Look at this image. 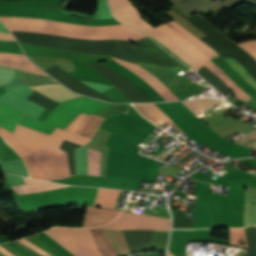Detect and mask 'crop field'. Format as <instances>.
Wrapping results in <instances>:
<instances>
[{
	"label": "crop field",
	"mask_w": 256,
	"mask_h": 256,
	"mask_svg": "<svg viewBox=\"0 0 256 256\" xmlns=\"http://www.w3.org/2000/svg\"><path fill=\"white\" fill-rule=\"evenodd\" d=\"M118 192L117 190L99 189L94 205L112 209Z\"/></svg>",
	"instance_id": "21"
},
{
	"label": "crop field",
	"mask_w": 256,
	"mask_h": 256,
	"mask_svg": "<svg viewBox=\"0 0 256 256\" xmlns=\"http://www.w3.org/2000/svg\"><path fill=\"white\" fill-rule=\"evenodd\" d=\"M158 31L162 32L167 38L181 47L193 58L198 60L203 65L209 60L205 55H203L197 48L191 45L189 42L184 40L180 35H178L172 28L167 24L155 27Z\"/></svg>",
	"instance_id": "11"
},
{
	"label": "crop field",
	"mask_w": 256,
	"mask_h": 256,
	"mask_svg": "<svg viewBox=\"0 0 256 256\" xmlns=\"http://www.w3.org/2000/svg\"><path fill=\"white\" fill-rule=\"evenodd\" d=\"M20 242H22L23 244L27 245L28 247H30L31 249L38 251L46 256H52L51 254L43 251L42 249H40L39 247L35 246L34 244H32L31 242L27 241L25 238L18 240Z\"/></svg>",
	"instance_id": "31"
},
{
	"label": "crop field",
	"mask_w": 256,
	"mask_h": 256,
	"mask_svg": "<svg viewBox=\"0 0 256 256\" xmlns=\"http://www.w3.org/2000/svg\"><path fill=\"white\" fill-rule=\"evenodd\" d=\"M167 24L170 27H172L178 34H180L184 39H186L191 44H193L195 47H197L200 51H202L209 58H212V57L218 55L210 47H208L206 44H204L203 42L198 40L196 37H194L192 34H190L187 30H185L183 27H181L175 21H170Z\"/></svg>",
	"instance_id": "16"
},
{
	"label": "crop field",
	"mask_w": 256,
	"mask_h": 256,
	"mask_svg": "<svg viewBox=\"0 0 256 256\" xmlns=\"http://www.w3.org/2000/svg\"><path fill=\"white\" fill-rule=\"evenodd\" d=\"M0 134L5 139V141L9 145H11L22 157L29 155L35 151H37L39 153H44V154L59 155V153H57L49 148H46V147H44L40 144H37L35 142H32L30 140H26L19 136H16L13 133H11L3 128H0Z\"/></svg>",
	"instance_id": "9"
},
{
	"label": "crop field",
	"mask_w": 256,
	"mask_h": 256,
	"mask_svg": "<svg viewBox=\"0 0 256 256\" xmlns=\"http://www.w3.org/2000/svg\"><path fill=\"white\" fill-rule=\"evenodd\" d=\"M114 61L126 66L128 69H130L132 72L137 74L139 77L144 79L146 82H148L154 89H156L162 96H164L168 101L178 100L171 91L167 89L165 85L160 83L152 74L148 73L147 71L143 70L139 66L135 64H131L128 62H125L120 59L113 58ZM163 97V98H164ZM164 98V99H165Z\"/></svg>",
	"instance_id": "10"
},
{
	"label": "crop field",
	"mask_w": 256,
	"mask_h": 256,
	"mask_svg": "<svg viewBox=\"0 0 256 256\" xmlns=\"http://www.w3.org/2000/svg\"><path fill=\"white\" fill-rule=\"evenodd\" d=\"M55 85V84H53ZM45 86V85H43ZM35 87V86H33ZM49 98L53 100H57L59 102H62L67 99L79 97L80 95H76L68 91L66 88H64L61 85H55V86H45V87H35L32 88ZM24 114L12 109L10 107L4 106L0 104V126L10 130L13 132L14 127L16 123L19 121V119L23 116Z\"/></svg>",
	"instance_id": "7"
},
{
	"label": "crop field",
	"mask_w": 256,
	"mask_h": 256,
	"mask_svg": "<svg viewBox=\"0 0 256 256\" xmlns=\"http://www.w3.org/2000/svg\"><path fill=\"white\" fill-rule=\"evenodd\" d=\"M23 179L26 184L13 187L19 194L42 192V191H48V190L58 189L62 187H67L64 185L40 182V181H35V180H30L25 178Z\"/></svg>",
	"instance_id": "17"
},
{
	"label": "crop field",
	"mask_w": 256,
	"mask_h": 256,
	"mask_svg": "<svg viewBox=\"0 0 256 256\" xmlns=\"http://www.w3.org/2000/svg\"><path fill=\"white\" fill-rule=\"evenodd\" d=\"M108 105L110 104L83 97L61 103L44 123L24 115L18 124L50 135L56 127L63 129L80 112L90 115Z\"/></svg>",
	"instance_id": "2"
},
{
	"label": "crop field",
	"mask_w": 256,
	"mask_h": 256,
	"mask_svg": "<svg viewBox=\"0 0 256 256\" xmlns=\"http://www.w3.org/2000/svg\"><path fill=\"white\" fill-rule=\"evenodd\" d=\"M82 82L85 83L86 85H88L89 87L93 88L94 90H96L99 93L113 87V85L108 86V85H104V84H100V83H93V82H86V81H82Z\"/></svg>",
	"instance_id": "30"
},
{
	"label": "crop field",
	"mask_w": 256,
	"mask_h": 256,
	"mask_svg": "<svg viewBox=\"0 0 256 256\" xmlns=\"http://www.w3.org/2000/svg\"><path fill=\"white\" fill-rule=\"evenodd\" d=\"M0 40H14V38L12 37L11 34L1 33L0 32Z\"/></svg>",
	"instance_id": "33"
},
{
	"label": "crop field",
	"mask_w": 256,
	"mask_h": 256,
	"mask_svg": "<svg viewBox=\"0 0 256 256\" xmlns=\"http://www.w3.org/2000/svg\"><path fill=\"white\" fill-rule=\"evenodd\" d=\"M89 231L91 232L94 238L95 245L97 247L98 252L102 256H118L117 253L112 248V246L110 245V243L105 238V236L102 234L100 229L93 228V229H89Z\"/></svg>",
	"instance_id": "20"
},
{
	"label": "crop field",
	"mask_w": 256,
	"mask_h": 256,
	"mask_svg": "<svg viewBox=\"0 0 256 256\" xmlns=\"http://www.w3.org/2000/svg\"><path fill=\"white\" fill-rule=\"evenodd\" d=\"M28 240L32 241L33 243L37 244L42 249L46 250L47 252L53 254L54 256H61L58 253H56L54 250H52L50 247H48L42 240H40L36 235L26 237Z\"/></svg>",
	"instance_id": "28"
},
{
	"label": "crop field",
	"mask_w": 256,
	"mask_h": 256,
	"mask_svg": "<svg viewBox=\"0 0 256 256\" xmlns=\"http://www.w3.org/2000/svg\"><path fill=\"white\" fill-rule=\"evenodd\" d=\"M8 29L15 32L69 38L119 39L137 41L143 34L123 24L86 26L38 18L0 17Z\"/></svg>",
	"instance_id": "1"
},
{
	"label": "crop field",
	"mask_w": 256,
	"mask_h": 256,
	"mask_svg": "<svg viewBox=\"0 0 256 256\" xmlns=\"http://www.w3.org/2000/svg\"><path fill=\"white\" fill-rule=\"evenodd\" d=\"M256 225V205L251 206V195L245 193L244 226Z\"/></svg>",
	"instance_id": "23"
},
{
	"label": "crop field",
	"mask_w": 256,
	"mask_h": 256,
	"mask_svg": "<svg viewBox=\"0 0 256 256\" xmlns=\"http://www.w3.org/2000/svg\"><path fill=\"white\" fill-rule=\"evenodd\" d=\"M0 251L5 254L6 256H13L12 254H10L8 251H6L2 246H0Z\"/></svg>",
	"instance_id": "34"
},
{
	"label": "crop field",
	"mask_w": 256,
	"mask_h": 256,
	"mask_svg": "<svg viewBox=\"0 0 256 256\" xmlns=\"http://www.w3.org/2000/svg\"><path fill=\"white\" fill-rule=\"evenodd\" d=\"M208 69L220 77L230 90L244 103L252 99L240 87H238L231 79H229L219 68H217L211 61L205 64Z\"/></svg>",
	"instance_id": "19"
},
{
	"label": "crop field",
	"mask_w": 256,
	"mask_h": 256,
	"mask_svg": "<svg viewBox=\"0 0 256 256\" xmlns=\"http://www.w3.org/2000/svg\"><path fill=\"white\" fill-rule=\"evenodd\" d=\"M221 101L213 99H195L191 101L182 102L186 107H188L194 114L211 107Z\"/></svg>",
	"instance_id": "22"
},
{
	"label": "crop field",
	"mask_w": 256,
	"mask_h": 256,
	"mask_svg": "<svg viewBox=\"0 0 256 256\" xmlns=\"http://www.w3.org/2000/svg\"><path fill=\"white\" fill-rule=\"evenodd\" d=\"M45 233L75 256H101L97 252L93 238L87 229L56 227L45 231Z\"/></svg>",
	"instance_id": "5"
},
{
	"label": "crop field",
	"mask_w": 256,
	"mask_h": 256,
	"mask_svg": "<svg viewBox=\"0 0 256 256\" xmlns=\"http://www.w3.org/2000/svg\"><path fill=\"white\" fill-rule=\"evenodd\" d=\"M101 230L120 256L132 254L122 231Z\"/></svg>",
	"instance_id": "18"
},
{
	"label": "crop field",
	"mask_w": 256,
	"mask_h": 256,
	"mask_svg": "<svg viewBox=\"0 0 256 256\" xmlns=\"http://www.w3.org/2000/svg\"><path fill=\"white\" fill-rule=\"evenodd\" d=\"M167 256H174V255H172L170 252H168Z\"/></svg>",
	"instance_id": "35"
},
{
	"label": "crop field",
	"mask_w": 256,
	"mask_h": 256,
	"mask_svg": "<svg viewBox=\"0 0 256 256\" xmlns=\"http://www.w3.org/2000/svg\"><path fill=\"white\" fill-rule=\"evenodd\" d=\"M138 110H139V112L142 114V115H144L145 117H147L149 120H151L153 123H155V124H160L161 122H163V121H168L170 124H172L174 127H176V128H174L172 125H170L168 122H166L169 126H171V127H173L174 129H176L178 132H180L182 135H184L185 133L182 131V130H180L179 129V127L172 121V120H170L167 116H166V114L162 111V110H160L158 107H156L154 104H133ZM165 122H163V123H165ZM162 123V124H163ZM162 124H160V125H162ZM159 125V126H160Z\"/></svg>",
	"instance_id": "15"
},
{
	"label": "crop field",
	"mask_w": 256,
	"mask_h": 256,
	"mask_svg": "<svg viewBox=\"0 0 256 256\" xmlns=\"http://www.w3.org/2000/svg\"><path fill=\"white\" fill-rule=\"evenodd\" d=\"M120 211L108 210V209H98L93 207H87L85 212L82 227H95L104 225L111 220H113Z\"/></svg>",
	"instance_id": "12"
},
{
	"label": "crop field",
	"mask_w": 256,
	"mask_h": 256,
	"mask_svg": "<svg viewBox=\"0 0 256 256\" xmlns=\"http://www.w3.org/2000/svg\"><path fill=\"white\" fill-rule=\"evenodd\" d=\"M100 152L88 148V175L99 176Z\"/></svg>",
	"instance_id": "24"
},
{
	"label": "crop field",
	"mask_w": 256,
	"mask_h": 256,
	"mask_svg": "<svg viewBox=\"0 0 256 256\" xmlns=\"http://www.w3.org/2000/svg\"><path fill=\"white\" fill-rule=\"evenodd\" d=\"M23 159L32 178L50 180L70 176L66 153L51 156L35 152Z\"/></svg>",
	"instance_id": "4"
},
{
	"label": "crop field",
	"mask_w": 256,
	"mask_h": 256,
	"mask_svg": "<svg viewBox=\"0 0 256 256\" xmlns=\"http://www.w3.org/2000/svg\"><path fill=\"white\" fill-rule=\"evenodd\" d=\"M169 223L170 219L167 218L139 215L123 211L117 219L100 228L168 230Z\"/></svg>",
	"instance_id": "6"
},
{
	"label": "crop field",
	"mask_w": 256,
	"mask_h": 256,
	"mask_svg": "<svg viewBox=\"0 0 256 256\" xmlns=\"http://www.w3.org/2000/svg\"><path fill=\"white\" fill-rule=\"evenodd\" d=\"M14 133L21 137H24V138L30 139L32 141H35L37 143L48 146L61 154L65 153V151H62L58 148L64 139L75 142V143H79L82 145H85L88 142V140H86V139H83L79 136L68 133L59 128H56L52 132V134L50 136H48V135L30 130V129H27V128L17 124Z\"/></svg>",
	"instance_id": "8"
},
{
	"label": "crop field",
	"mask_w": 256,
	"mask_h": 256,
	"mask_svg": "<svg viewBox=\"0 0 256 256\" xmlns=\"http://www.w3.org/2000/svg\"><path fill=\"white\" fill-rule=\"evenodd\" d=\"M246 81H248L254 88H256V81L254 78L245 70V68L238 63L236 60L231 58H224Z\"/></svg>",
	"instance_id": "25"
},
{
	"label": "crop field",
	"mask_w": 256,
	"mask_h": 256,
	"mask_svg": "<svg viewBox=\"0 0 256 256\" xmlns=\"http://www.w3.org/2000/svg\"><path fill=\"white\" fill-rule=\"evenodd\" d=\"M102 119L98 117H86L80 115L74 122H72L66 129L87 138H90L93 131L98 127Z\"/></svg>",
	"instance_id": "14"
},
{
	"label": "crop field",
	"mask_w": 256,
	"mask_h": 256,
	"mask_svg": "<svg viewBox=\"0 0 256 256\" xmlns=\"http://www.w3.org/2000/svg\"><path fill=\"white\" fill-rule=\"evenodd\" d=\"M14 77V69L0 66V86L9 84Z\"/></svg>",
	"instance_id": "27"
},
{
	"label": "crop field",
	"mask_w": 256,
	"mask_h": 256,
	"mask_svg": "<svg viewBox=\"0 0 256 256\" xmlns=\"http://www.w3.org/2000/svg\"><path fill=\"white\" fill-rule=\"evenodd\" d=\"M233 142L241 144L248 148L256 149V131H254L248 135H245Z\"/></svg>",
	"instance_id": "26"
},
{
	"label": "crop field",
	"mask_w": 256,
	"mask_h": 256,
	"mask_svg": "<svg viewBox=\"0 0 256 256\" xmlns=\"http://www.w3.org/2000/svg\"><path fill=\"white\" fill-rule=\"evenodd\" d=\"M239 46H241L243 49L249 52L254 58H256V40L239 44Z\"/></svg>",
	"instance_id": "29"
},
{
	"label": "crop field",
	"mask_w": 256,
	"mask_h": 256,
	"mask_svg": "<svg viewBox=\"0 0 256 256\" xmlns=\"http://www.w3.org/2000/svg\"><path fill=\"white\" fill-rule=\"evenodd\" d=\"M108 1L113 16H115L119 21L148 34L149 36L153 37L154 39L165 45L180 59L190 64L195 72L203 66L191 56H189L187 53H185L181 48H179L177 45L167 39L162 33L158 32L151 25L141 19L136 7L128 0Z\"/></svg>",
	"instance_id": "3"
},
{
	"label": "crop field",
	"mask_w": 256,
	"mask_h": 256,
	"mask_svg": "<svg viewBox=\"0 0 256 256\" xmlns=\"http://www.w3.org/2000/svg\"><path fill=\"white\" fill-rule=\"evenodd\" d=\"M0 64L47 76L37 67H35L25 56H22V55H17L12 53H0Z\"/></svg>",
	"instance_id": "13"
},
{
	"label": "crop field",
	"mask_w": 256,
	"mask_h": 256,
	"mask_svg": "<svg viewBox=\"0 0 256 256\" xmlns=\"http://www.w3.org/2000/svg\"><path fill=\"white\" fill-rule=\"evenodd\" d=\"M14 243L17 244L18 246H20L21 248H23L24 250H26V251H28V252H30V253L36 255V256H42V255L38 254L37 252H35V251L29 249L28 247H26L25 245H23L22 243H20V242H18V241H14Z\"/></svg>",
	"instance_id": "32"
}]
</instances>
